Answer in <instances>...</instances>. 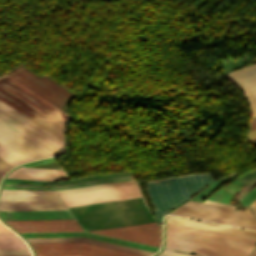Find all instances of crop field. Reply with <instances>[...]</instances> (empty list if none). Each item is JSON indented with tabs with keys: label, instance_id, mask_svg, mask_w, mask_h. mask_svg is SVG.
Instances as JSON below:
<instances>
[{
	"label": "crop field",
	"instance_id": "12",
	"mask_svg": "<svg viewBox=\"0 0 256 256\" xmlns=\"http://www.w3.org/2000/svg\"><path fill=\"white\" fill-rule=\"evenodd\" d=\"M248 99L251 116L256 117V64L222 75Z\"/></svg>",
	"mask_w": 256,
	"mask_h": 256
},
{
	"label": "crop field",
	"instance_id": "13",
	"mask_svg": "<svg viewBox=\"0 0 256 256\" xmlns=\"http://www.w3.org/2000/svg\"><path fill=\"white\" fill-rule=\"evenodd\" d=\"M19 232L83 231L76 219L6 221Z\"/></svg>",
	"mask_w": 256,
	"mask_h": 256
},
{
	"label": "crop field",
	"instance_id": "31",
	"mask_svg": "<svg viewBox=\"0 0 256 256\" xmlns=\"http://www.w3.org/2000/svg\"><path fill=\"white\" fill-rule=\"evenodd\" d=\"M251 256H256V249H255L254 252L251 254Z\"/></svg>",
	"mask_w": 256,
	"mask_h": 256
},
{
	"label": "crop field",
	"instance_id": "34",
	"mask_svg": "<svg viewBox=\"0 0 256 256\" xmlns=\"http://www.w3.org/2000/svg\"><path fill=\"white\" fill-rule=\"evenodd\" d=\"M255 202V204H256V201H254Z\"/></svg>",
	"mask_w": 256,
	"mask_h": 256
},
{
	"label": "crop field",
	"instance_id": "26",
	"mask_svg": "<svg viewBox=\"0 0 256 256\" xmlns=\"http://www.w3.org/2000/svg\"><path fill=\"white\" fill-rule=\"evenodd\" d=\"M204 203H210V204H215V205H221V206H226V207H232V208H234V206H229V205L217 203V202H214V201H211V200H208V199H206V200L204 201Z\"/></svg>",
	"mask_w": 256,
	"mask_h": 256
},
{
	"label": "crop field",
	"instance_id": "7",
	"mask_svg": "<svg viewBox=\"0 0 256 256\" xmlns=\"http://www.w3.org/2000/svg\"><path fill=\"white\" fill-rule=\"evenodd\" d=\"M7 75L67 113L68 102L74 96L71 93L45 77L38 78L22 67L15 69Z\"/></svg>",
	"mask_w": 256,
	"mask_h": 256
},
{
	"label": "crop field",
	"instance_id": "9",
	"mask_svg": "<svg viewBox=\"0 0 256 256\" xmlns=\"http://www.w3.org/2000/svg\"><path fill=\"white\" fill-rule=\"evenodd\" d=\"M61 198L68 206L86 204L91 202L116 200L141 196L135 183L111 187L96 191L63 194Z\"/></svg>",
	"mask_w": 256,
	"mask_h": 256
},
{
	"label": "crop field",
	"instance_id": "32",
	"mask_svg": "<svg viewBox=\"0 0 256 256\" xmlns=\"http://www.w3.org/2000/svg\"><path fill=\"white\" fill-rule=\"evenodd\" d=\"M12 256H32V255H12Z\"/></svg>",
	"mask_w": 256,
	"mask_h": 256
},
{
	"label": "crop field",
	"instance_id": "10",
	"mask_svg": "<svg viewBox=\"0 0 256 256\" xmlns=\"http://www.w3.org/2000/svg\"><path fill=\"white\" fill-rule=\"evenodd\" d=\"M67 209L58 195L0 196V210Z\"/></svg>",
	"mask_w": 256,
	"mask_h": 256
},
{
	"label": "crop field",
	"instance_id": "17",
	"mask_svg": "<svg viewBox=\"0 0 256 256\" xmlns=\"http://www.w3.org/2000/svg\"><path fill=\"white\" fill-rule=\"evenodd\" d=\"M21 234L24 237L85 236V237H89V238H94V239H98V240H103V241H107V242L130 246V247L148 250V251H152V252H155L157 249H159V248L152 247V246L128 242V241H124V240H119V239H115V238L91 234V233H87V232H52V233H21Z\"/></svg>",
	"mask_w": 256,
	"mask_h": 256
},
{
	"label": "crop field",
	"instance_id": "21",
	"mask_svg": "<svg viewBox=\"0 0 256 256\" xmlns=\"http://www.w3.org/2000/svg\"><path fill=\"white\" fill-rule=\"evenodd\" d=\"M7 177L23 178L44 181L59 180L55 170L20 167L11 172Z\"/></svg>",
	"mask_w": 256,
	"mask_h": 256
},
{
	"label": "crop field",
	"instance_id": "14",
	"mask_svg": "<svg viewBox=\"0 0 256 256\" xmlns=\"http://www.w3.org/2000/svg\"><path fill=\"white\" fill-rule=\"evenodd\" d=\"M3 220L74 218L69 210L0 211Z\"/></svg>",
	"mask_w": 256,
	"mask_h": 256
},
{
	"label": "crop field",
	"instance_id": "24",
	"mask_svg": "<svg viewBox=\"0 0 256 256\" xmlns=\"http://www.w3.org/2000/svg\"><path fill=\"white\" fill-rule=\"evenodd\" d=\"M11 167H13L12 165H10L9 163L5 162L4 160H2L0 158V179L2 178V176L5 174V172L10 169Z\"/></svg>",
	"mask_w": 256,
	"mask_h": 256
},
{
	"label": "crop field",
	"instance_id": "20",
	"mask_svg": "<svg viewBox=\"0 0 256 256\" xmlns=\"http://www.w3.org/2000/svg\"><path fill=\"white\" fill-rule=\"evenodd\" d=\"M31 254L26 244L14 233H0V255Z\"/></svg>",
	"mask_w": 256,
	"mask_h": 256
},
{
	"label": "crop field",
	"instance_id": "2",
	"mask_svg": "<svg viewBox=\"0 0 256 256\" xmlns=\"http://www.w3.org/2000/svg\"><path fill=\"white\" fill-rule=\"evenodd\" d=\"M70 209L88 231L155 221L142 197L73 206Z\"/></svg>",
	"mask_w": 256,
	"mask_h": 256
},
{
	"label": "crop field",
	"instance_id": "29",
	"mask_svg": "<svg viewBox=\"0 0 256 256\" xmlns=\"http://www.w3.org/2000/svg\"><path fill=\"white\" fill-rule=\"evenodd\" d=\"M0 232H12L0 223Z\"/></svg>",
	"mask_w": 256,
	"mask_h": 256
},
{
	"label": "crop field",
	"instance_id": "23",
	"mask_svg": "<svg viewBox=\"0 0 256 256\" xmlns=\"http://www.w3.org/2000/svg\"><path fill=\"white\" fill-rule=\"evenodd\" d=\"M158 256H195V255H190V254H183V253H178L170 250L164 249Z\"/></svg>",
	"mask_w": 256,
	"mask_h": 256
},
{
	"label": "crop field",
	"instance_id": "5",
	"mask_svg": "<svg viewBox=\"0 0 256 256\" xmlns=\"http://www.w3.org/2000/svg\"><path fill=\"white\" fill-rule=\"evenodd\" d=\"M4 122L20 133L8 127ZM0 139L33 160L63 153L2 112H0Z\"/></svg>",
	"mask_w": 256,
	"mask_h": 256
},
{
	"label": "crop field",
	"instance_id": "33",
	"mask_svg": "<svg viewBox=\"0 0 256 256\" xmlns=\"http://www.w3.org/2000/svg\"><path fill=\"white\" fill-rule=\"evenodd\" d=\"M254 144H256V138L251 140Z\"/></svg>",
	"mask_w": 256,
	"mask_h": 256
},
{
	"label": "crop field",
	"instance_id": "8",
	"mask_svg": "<svg viewBox=\"0 0 256 256\" xmlns=\"http://www.w3.org/2000/svg\"><path fill=\"white\" fill-rule=\"evenodd\" d=\"M37 256H140L84 243L31 244Z\"/></svg>",
	"mask_w": 256,
	"mask_h": 256
},
{
	"label": "crop field",
	"instance_id": "18",
	"mask_svg": "<svg viewBox=\"0 0 256 256\" xmlns=\"http://www.w3.org/2000/svg\"><path fill=\"white\" fill-rule=\"evenodd\" d=\"M0 111L5 113L12 119L16 120L17 122H19L20 124H22L23 126L28 128L29 130H31L32 132H34L35 134H37L44 140L48 141L49 143H51L52 145H54L61 151H63V152L65 151L64 143H62L61 141H59L58 139H56L49 133L45 132L44 130H42L41 128H39L38 126H36L35 124H33L32 122H30L29 120H27L26 118H24L23 116H21L20 114H18L17 112H15L14 110L7 107L6 105H4L1 102H0Z\"/></svg>",
	"mask_w": 256,
	"mask_h": 256
},
{
	"label": "crop field",
	"instance_id": "16",
	"mask_svg": "<svg viewBox=\"0 0 256 256\" xmlns=\"http://www.w3.org/2000/svg\"><path fill=\"white\" fill-rule=\"evenodd\" d=\"M27 240L30 243L84 242V243L103 246V247H107V248H112V249L122 250V251H126V252L136 253V254H140V255H145V256H149V255L153 254L152 252L134 249V248H130V247H125V246H121V245H116V244H112V243H107V242H103V241H98V240H94V239H89V238H85V237L27 238Z\"/></svg>",
	"mask_w": 256,
	"mask_h": 256
},
{
	"label": "crop field",
	"instance_id": "27",
	"mask_svg": "<svg viewBox=\"0 0 256 256\" xmlns=\"http://www.w3.org/2000/svg\"><path fill=\"white\" fill-rule=\"evenodd\" d=\"M255 137H256V130L250 131L248 134V138L251 139V138H255Z\"/></svg>",
	"mask_w": 256,
	"mask_h": 256
},
{
	"label": "crop field",
	"instance_id": "15",
	"mask_svg": "<svg viewBox=\"0 0 256 256\" xmlns=\"http://www.w3.org/2000/svg\"><path fill=\"white\" fill-rule=\"evenodd\" d=\"M166 222L190 226V227H196V228H201V229H207V230H212V231H218V232H223V233H229V234H234V235H240V236H245V237L256 238V232H254V231L225 227V226H220V225H214V224H210V223H205V222H201V221L186 219V218L172 216V215L167 216Z\"/></svg>",
	"mask_w": 256,
	"mask_h": 256
},
{
	"label": "crop field",
	"instance_id": "1",
	"mask_svg": "<svg viewBox=\"0 0 256 256\" xmlns=\"http://www.w3.org/2000/svg\"><path fill=\"white\" fill-rule=\"evenodd\" d=\"M166 245L217 256H248L256 239L166 223Z\"/></svg>",
	"mask_w": 256,
	"mask_h": 256
},
{
	"label": "crop field",
	"instance_id": "30",
	"mask_svg": "<svg viewBox=\"0 0 256 256\" xmlns=\"http://www.w3.org/2000/svg\"><path fill=\"white\" fill-rule=\"evenodd\" d=\"M255 128H256V118L252 119L250 130Z\"/></svg>",
	"mask_w": 256,
	"mask_h": 256
},
{
	"label": "crop field",
	"instance_id": "4",
	"mask_svg": "<svg viewBox=\"0 0 256 256\" xmlns=\"http://www.w3.org/2000/svg\"><path fill=\"white\" fill-rule=\"evenodd\" d=\"M214 180L210 172L146 181L147 189L156 207L154 215L159 223L171 208L182 203L208 182Z\"/></svg>",
	"mask_w": 256,
	"mask_h": 256
},
{
	"label": "crop field",
	"instance_id": "11",
	"mask_svg": "<svg viewBox=\"0 0 256 256\" xmlns=\"http://www.w3.org/2000/svg\"><path fill=\"white\" fill-rule=\"evenodd\" d=\"M92 232L116 236L156 246H160L161 244V226L158 225L157 222Z\"/></svg>",
	"mask_w": 256,
	"mask_h": 256
},
{
	"label": "crop field",
	"instance_id": "19",
	"mask_svg": "<svg viewBox=\"0 0 256 256\" xmlns=\"http://www.w3.org/2000/svg\"><path fill=\"white\" fill-rule=\"evenodd\" d=\"M134 180L129 181H118V182H109V183H102L98 185H93L84 188H77V189H68V190H58V191H39V190H1L0 195H43V194H62V193H72V192H81V191H89V190H96L111 186H117L127 183H133Z\"/></svg>",
	"mask_w": 256,
	"mask_h": 256
},
{
	"label": "crop field",
	"instance_id": "25",
	"mask_svg": "<svg viewBox=\"0 0 256 256\" xmlns=\"http://www.w3.org/2000/svg\"><path fill=\"white\" fill-rule=\"evenodd\" d=\"M165 248L175 250V251L189 252V253L201 254V255H206V256H212V255H207V254H202V253H197V252H192V251H187V250H182V249H177V248H172V247H167V246H165Z\"/></svg>",
	"mask_w": 256,
	"mask_h": 256
},
{
	"label": "crop field",
	"instance_id": "3",
	"mask_svg": "<svg viewBox=\"0 0 256 256\" xmlns=\"http://www.w3.org/2000/svg\"><path fill=\"white\" fill-rule=\"evenodd\" d=\"M3 87L17 97L23 99L27 104L4 90ZM0 92L20 105L0 95L1 102L64 142L63 130L67 118L62 116L61 110L57 109L6 75L0 78Z\"/></svg>",
	"mask_w": 256,
	"mask_h": 256
},
{
	"label": "crop field",
	"instance_id": "28",
	"mask_svg": "<svg viewBox=\"0 0 256 256\" xmlns=\"http://www.w3.org/2000/svg\"><path fill=\"white\" fill-rule=\"evenodd\" d=\"M250 209L256 217V205L254 204V202L250 205Z\"/></svg>",
	"mask_w": 256,
	"mask_h": 256
},
{
	"label": "crop field",
	"instance_id": "6",
	"mask_svg": "<svg viewBox=\"0 0 256 256\" xmlns=\"http://www.w3.org/2000/svg\"><path fill=\"white\" fill-rule=\"evenodd\" d=\"M171 213L256 230V219L248 208L241 211L188 201Z\"/></svg>",
	"mask_w": 256,
	"mask_h": 256
},
{
	"label": "crop field",
	"instance_id": "22",
	"mask_svg": "<svg viewBox=\"0 0 256 256\" xmlns=\"http://www.w3.org/2000/svg\"><path fill=\"white\" fill-rule=\"evenodd\" d=\"M0 157L14 166L26 161H31L30 158L23 155L2 140H0Z\"/></svg>",
	"mask_w": 256,
	"mask_h": 256
}]
</instances>
